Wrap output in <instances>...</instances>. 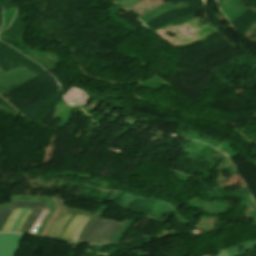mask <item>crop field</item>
Segmentation results:
<instances>
[{
	"label": "crop field",
	"instance_id": "obj_9",
	"mask_svg": "<svg viewBox=\"0 0 256 256\" xmlns=\"http://www.w3.org/2000/svg\"><path fill=\"white\" fill-rule=\"evenodd\" d=\"M31 211H32V209H29L28 212L25 214V216H24L23 219L21 220V222H20V224H19V226H18L16 232H20V230H21V228H22V226H23V224H24V222H25L27 216L29 215V213H30Z\"/></svg>",
	"mask_w": 256,
	"mask_h": 256
},
{
	"label": "crop field",
	"instance_id": "obj_6",
	"mask_svg": "<svg viewBox=\"0 0 256 256\" xmlns=\"http://www.w3.org/2000/svg\"><path fill=\"white\" fill-rule=\"evenodd\" d=\"M22 210H23V208H17L14 210V212L10 215V217L6 221L1 232H10L13 224L17 220V218H18L19 214L22 212Z\"/></svg>",
	"mask_w": 256,
	"mask_h": 256
},
{
	"label": "crop field",
	"instance_id": "obj_5",
	"mask_svg": "<svg viewBox=\"0 0 256 256\" xmlns=\"http://www.w3.org/2000/svg\"><path fill=\"white\" fill-rule=\"evenodd\" d=\"M56 199V203H57V206H58V210L59 212H57V214L55 215V217L53 218L52 222L50 223V225L48 226L44 236L47 237L51 228L53 227L54 223L56 222V220L58 219V217L61 215L62 212H67L66 210V206L64 204V201L62 199H58V198H55Z\"/></svg>",
	"mask_w": 256,
	"mask_h": 256
},
{
	"label": "crop field",
	"instance_id": "obj_1",
	"mask_svg": "<svg viewBox=\"0 0 256 256\" xmlns=\"http://www.w3.org/2000/svg\"><path fill=\"white\" fill-rule=\"evenodd\" d=\"M125 221L118 222L112 219L91 217L84 226L77 242L109 243Z\"/></svg>",
	"mask_w": 256,
	"mask_h": 256
},
{
	"label": "crop field",
	"instance_id": "obj_4",
	"mask_svg": "<svg viewBox=\"0 0 256 256\" xmlns=\"http://www.w3.org/2000/svg\"><path fill=\"white\" fill-rule=\"evenodd\" d=\"M84 217L85 216H82V215H76V217L73 219V221L71 222V224L67 228L62 240L68 241V242L71 241L77 226L83 220Z\"/></svg>",
	"mask_w": 256,
	"mask_h": 256
},
{
	"label": "crop field",
	"instance_id": "obj_8",
	"mask_svg": "<svg viewBox=\"0 0 256 256\" xmlns=\"http://www.w3.org/2000/svg\"><path fill=\"white\" fill-rule=\"evenodd\" d=\"M67 213H62V215L59 217V219L57 220L56 224L54 225L49 237L52 238L58 225L60 224L61 220L64 218V216L66 215Z\"/></svg>",
	"mask_w": 256,
	"mask_h": 256
},
{
	"label": "crop field",
	"instance_id": "obj_3",
	"mask_svg": "<svg viewBox=\"0 0 256 256\" xmlns=\"http://www.w3.org/2000/svg\"><path fill=\"white\" fill-rule=\"evenodd\" d=\"M22 235L0 234V256H15Z\"/></svg>",
	"mask_w": 256,
	"mask_h": 256
},
{
	"label": "crop field",
	"instance_id": "obj_7",
	"mask_svg": "<svg viewBox=\"0 0 256 256\" xmlns=\"http://www.w3.org/2000/svg\"><path fill=\"white\" fill-rule=\"evenodd\" d=\"M13 209L0 210V231Z\"/></svg>",
	"mask_w": 256,
	"mask_h": 256
},
{
	"label": "crop field",
	"instance_id": "obj_2",
	"mask_svg": "<svg viewBox=\"0 0 256 256\" xmlns=\"http://www.w3.org/2000/svg\"><path fill=\"white\" fill-rule=\"evenodd\" d=\"M17 207H27V208H34L33 211L30 213L26 223L24 224L21 232L22 233H29L32 226L36 222L37 218L41 214L43 209H47L46 204L41 203H29V202H17V203H11V208H17Z\"/></svg>",
	"mask_w": 256,
	"mask_h": 256
},
{
	"label": "crop field",
	"instance_id": "obj_10",
	"mask_svg": "<svg viewBox=\"0 0 256 256\" xmlns=\"http://www.w3.org/2000/svg\"><path fill=\"white\" fill-rule=\"evenodd\" d=\"M27 210H28V209H24V211L22 212V214L20 215V217L18 218V220H17L16 223L14 224V226H13L11 232H14V231H15V229H16L18 223L20 222V220H21V218L23 217V215L27 212Z\"/></svg>",
	"mask_w": 256,
	"mask_h": 256
}]
</instances>
